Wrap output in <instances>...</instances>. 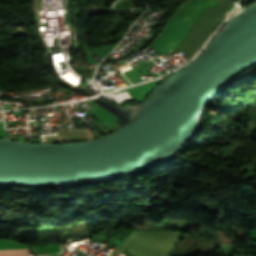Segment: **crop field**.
<instances>
[{
	"label": "crop field",
	"instance_id": "ac0d7876",
	"mask_svg": "<svg viewBox=\"0 0 256 256\" xmlns=\"http://www.w3.org/2000/svg\"><path fill=\"white\" fill-rule=\"evenodd\" d=\"M49 256H59V254H55V255H49Z\"/></svg>",
	"mask_w": 256,
	"mask_h": 256
},
{
	"label": "crop field",
	"instance_id": "8a807250",
	"mask_svg": "<svg viewBox=\"0 0 256 256\" xmlns=\"http://www.w3.org/2000/svg\"><path fill=\"white\" fill-rule=\"evenodd\" d=\"M0 256H28V249L0 250Z\"/></svg>",
	"mask_w": 256,
	"mask_h": 256
}]
</instances>
